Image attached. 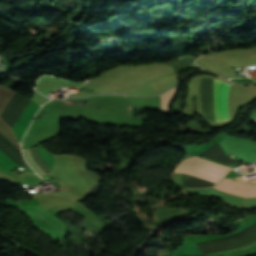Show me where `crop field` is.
<instances>
[{
  "label": "crop field",
  "mask_w": 256,
  "mask_h": 256,
  "mask_svg": "<svg viewBox=\"0 0 256 256\" xmlns=\"http://www.w3.org/2000/svg\"><path fill=\"white\" fill-rule=\"evenodd\" d=\"M254 122H256V120Z\"/></svg>",
  "instance_id": "9"
},
{
  "label": "crop field",
  "mask_w": 256,
  "mask_h": 256,
  "mask_svg": "<svg viewBox=\"0 0 256 256\" xmlns=\"http://www.w3.org/2000/svg\"><path fill=\"white\" fill-rule=\"evenodd\" d=\"M15 93L16 92L0 85V116L4 111L7 103L10 101V99L14 96Z\"/></svg>",
  "instance_id": "6"
},
{
  "label": "crop field",
  "mask_w": 256,
  "mask_h": 256,
  "mask_svg": "<svg viewBox=\"0 0 256 256\" xmlns=\"http://www.w3.org/2000/svg\"><path fill=\"white\" fill-rule=\"evenodd\" d=\"M23 154L30 164V166L37 171L38 174L42 175L50 169L48 165L41 158L37 148L23 150ZM39 175V176H40Z\"/></svg>",
  "instance_id": "5"
},
{
  "label": "crop field",
  "mask_w": 256,
  "mask_h": 256,
  "mask_svg": "<svg viewBox=\"0 0 256 256\" xmlns=\"http://www.w3.org/2000/svg\"><path fill=\"white\" fill-rule=\"evenodd\" d=\"M217 80L202 78L201 87L204 100V113L207 122H216L215 105H214V90Z\"/></svg>",
  "instance_id": "4"
},
{
  "label": "crop field",
  "mask_w": 256,
  "mask_h": 256,
  "mask_svg": "<svg viewBox=\"0 0 256 256\" xmlns=\"http://www.w3.org/2000/svg\"><path fill=\"white\" fill-rule=\"evenodd\" d=\"M0 132L5 135L9 140H11L16 146H19L16 138L14 137L12 131L8 128V126L0 119Z\"/></svg>",
  "instance_id": "8"
},
{
  "label": "crop field",
  "mask_w": 256,
  "mask_h": 256,
  "mask_svg": "<svg viewBox=\"0 0 256 256\" xmlns=\"http://www.w3.org/2000/svg\"><path fill=\"white\" fill-rule=\"evenodd\" d=\"M19 203L22 211L30 216L33 224L38 229L51 236L54 240L65 236L66 231L63 223L43 210L36 199L19 201Z\"/></svg>",
  "instance_id": "1"
},
{
  "label": "crop field",
  "mask_w": 256,
  "mask_h": 256,
  "mask_svg": "<svg viewBox=\"0 0 256 256\" xmlns=\"http://www.w3.org/2000/svg\"><path fill=\"white\" fill-rule=\"evenodd\" d=\"M178 85L172 89H170L169 91H167L166 93L160 95V99H161V110H165V109H169V105L177 91Z\"/></svg>",
  "instance_id": "7"
},
{
  "label": "crop field",
  "mask_w": 256,
  "mask_h": 256,
  "mask_svg": "<svg viewBox=\"0 0 256 256\" xmlns=\"http://www.w3.org/2000/svg\"><path fill=\"white\" fill-rule=\"evenodd\" d=\"M215 188L228 191L244 197L256 196V177L245 179L244 176L227 178Z\"/></svg>",
  "instance_id": "3"
},
{
  "label": "crop field",
  "mask_w": 256,
  "mask_h": 256,
  "mask_svg": "<svg viewBox=\"0 0 256 256\" xmlns=\"http://www.w3.org/2000/svg\"><path fill=\"white\" fill-rule=\"evenodd\" d=\"M230 169L229 167L217 165L198 157H191L180 163L174 172L189 173L218 182Z\"/></svg>",
  "instance_id": "2"
}]
</instances>
